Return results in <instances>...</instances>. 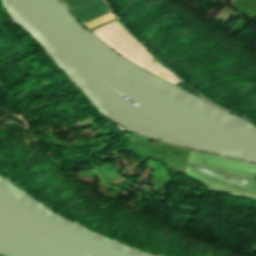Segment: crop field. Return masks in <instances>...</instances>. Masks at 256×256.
Segmentation results:
<instances>
[{"label":"crop field","mask_w":256,"mask_h":256,"mask_svg":"<svg viewBox=\"0 0 256 256\" xmlns=\"http://www.w3.org/2000/svg\"><path fill=\"white\" fill-rule=\"evenodd\" d=\"M93 33L130 61L173 84L179 82L177 78L163 69L164 67L162 68L150 53L136 42L137 40L135 41L117 20L93 31Z\"/></svg>","instance_id":"1"},{"label":"crop field","mask_w":256,"mask_h":256,"mask_svg":"<svg viewBox=\"0 0 256 256\" xmlns=\"http://www.w3.org/2000/svg\"><path fill=\"white\" fill-rule=\"evenodd\" d=\"M74 12L82 21L85 22V24L109 13L107 11L106 7H104L103 4L100 2V0H96L92 3H89V4L81 7V8H78V9L74 10ZM111 20H113V18L111 17L110 14H108L98 20H95V21L87 24V26L90 29H92L94 27H97V26L104 24L106 22H109Z\"/></svg>","instance_id":"2"},{"label":"crop field","mask_w":256,"mask_h":256,"mask_svg":"<svg viewBox=\"0 0 256 256\" xmlns=\"http://www.w3.org/2000/svg\"><path fill=\"white\" fill-rule=\"evenodd\" d=\"M193 167H195V166H193ZM195 168L202 171L203 173L211 176V177H214L216 179H219V180H222L224 182L230 183V184H232L234 186H237L241 189H243L245 187V185L250 180V179L237 177V176H233V175H228V174H224V173H219V172H215V171H211V170H207V169H203V168H199V167H195ZM252 179L256 180V175Z\"/></svg>","instance_id":"3"},{"label":"crop field","mask_w":256,"mask_h":256,"mask_svg":"<svg viewBox=\"0 0 256 256\" xmlns=\"http://www.w3.org/2000/svg\"><path fill=\"white\" fill-rule=\"evenodd\" d=\"M62 1L65 3V5L71 11V10H73V9H75L77 7H80V6H82V5L86 4V3H89V2H91L93 0H62Z\"/></svg>","instance_id":"4"}]
</instances>
